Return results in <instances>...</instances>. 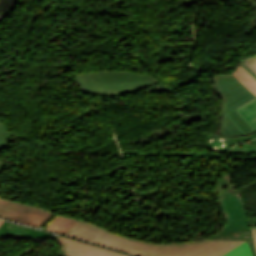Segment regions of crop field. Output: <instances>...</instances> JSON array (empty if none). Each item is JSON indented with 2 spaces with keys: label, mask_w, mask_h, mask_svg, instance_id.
Segmentation results:
<instances>
[{
  "label": "crop field",
  "mask_w": 256,
  "mask_h": 256,
  "mask_svg": "<svg viewBox=\"0 0 256 256\" xmlns=\"http://www.w3.org/2000/svg\"><path fill=\"white\" fill-rule=\"evenodd\" d=\"M56 239L63 245L62 250L57 253L58 256H129L62 236H56Z\"/></svg>",
  "instance_id": "crop-field-6"
},
{
  "label": "crop field",
  "mask_w": 256,
  "mask_h": 256,
  "mask_svg": "<svg viewBox=\"0 0 256 256\" xmlns=\"http://www.w3.org/2000/svg\"><path fill=\"white\" fill-rule=\"evenodd\" d=\"M66 235L139 256H222L246 242L204 239L181 244L148 243L113 234L81 220Z\"/></svg>",
  "instance_id": "crop-field-1"
},
{
  "label": "crop field",
  "mask_w": 256,
  "mask_h": 256,
  "mask_svg": "<svg viewBox=\"0 0 256 256\" xmlns=\"http://www.w3.org/2000/svg\"><path fill=\"white\" fill-rule=\"evenodd\" d=\"M253 236H254V240H255V243H256V228L253 229Z\"/></svg>",
  "instance_id": "crop-field-14"
},
{
  "label": "crop field",
  "mask_w": 256,
  "mask_h": 256,
  "mask_svg": "<svg viewBox=\"0 0 256 256\" xmlns=\"http://www.w3.org/2000/svg\"><path fill=\"white\" fill-rule=\"evenodd\" d=\"M215 93L222 97L220 116H222L219 133L227 136H241L254 133L250 126L235 110L237 106L256 97L232 74L213 76Z\"/></svg>",
  "instance_id": "crop-field-4"
},
{
  "label": "crop field",
  "mask_w": 256,
  "mask_h": 256,
  "mask_svg": "<svg viewBox=\"0 0 256 256\" xmlns=\"http://www.w3.org/2000/svg\"><path fill=\"white\" fill-rule=\"evenodd\" d=\"M243 119L256 132V98L237 109Z\"/></svg>",
  "instance_id": "crop-field-9"
},
{
  "label": "crop field",
  "mask_w": 256,
  "mask_h": 256,
  "mask_svg": "<svg viewBox=\"0 0 256 256\" xmlns=\"http://www.w3.org/2000/svg\"><path fill=\"white\" fill-rule=\"evenodd\" d=\"M224 256H252L247 243L235 248Z\"/></svg>",
  "instance_id": "crop-field-12"
},
{
  "label": "crop field",
  "mask_w": 256,
  "mask_h": 256,
  "mask_svg": "<svg viewBox=\"0 0 256 256\" xmlns=\"http://www.w3.org/2000/svg\"><path fill=\"white\" fill-rule=\"evenodd\" d=\"M1 236L47 238L52 234L4 221L0 227Z\"/></svg>",
  "instance_id": "crop-field-7"
},
{
  "label": "crop field",
  "mask_w": 256,
  "mask_h": 256,
  "mask_svg": "<svg viewBox=\"0 0 256 256\" xmlns=\"http://www.w3.org/2000/svg\"><path fill=\"white\" fill-rule=\"evenodd\" d=\"M213 190L224 223L210 238L247 240L253 256H256L243 195L230 172L214 181Z\"/></svg>",
  "instance_id": "crop-field-2"
},
{
  "label": "crop field",
  "mask_w": 256,
  "mask_h": 256,
  "mask_svg": "<svg viewBox=\"0 0 256 256\" xmlns=\"http://www.w3.org/2000/svg\"><path fill=\"white\" fill-rule=\"evenodd\" d=\"M56 213L0 198V217L41 228Z\"/></svg>",
  "instance_id": "crop-field-5"
},
{
  "label": "crop field",
  "mask_w": 256,
  "mask_h": 256,
  "mask_svg": "<svg viewBox=\"0 0 256 256\" xmlns=\"http://www.w3.org/2000/svg\"><path fill=\"white\" fill-rule=\"evenodd\" d=\"M3 220H0V225L2 224Z\"/></svg>",
  "instance_id": "crop-field-15"
},
{
  "label": "crop field",
  "mask_w": 256,
  "mask_h": 256,
  "mask_svg": "<svg viewBox=\"0 0 256 256\" xmlns=\"http://www.w3.org/2000/svg\"><path fill=\"white\" fill-rule=\"evenodd\" d=\"M233 75L256 95V79L245 69L239 65Z\"/></svg>",
  "instance_id": "crop-field-10"
},
{
  "label": "crop field",
  "mask_w": 256,
  "mask_h": 256,
  "mask_svg": "<svg viewBox=\"0 0 256 256\" xmlns=\"http://www.w3.org/2000/svg\"><path fill=\"white\" fill-rule=\"evenodd\" d=\"M74 77L81 91L100 96L128 95L160 82L152 75L120 71H97Z\"/></svg>",
  "instance_id": "crop-field-3"
},
{
  "label": "crop field",
  "mask_w": 256,
  "mask_h": 256,
  "mask_svg": "<svg viewBox=\"0 0 256 256\" xmlns=\"http://www.w3.org/2000/svg\"><path fill=\"white\" fill-rule=\"evenodd\" d=\"M242 62L256 74V55Z\"/></svg>",
  "instance_id": "crop-field-13"
},
{
  "label": "crop field",
  "mask_w": 256,
  "mask_h": 256,
  "mask_svg": "<svg viewBox=\"0 0 256 256\" xmlns=\"http://www.w3.org/2000/svg\"><path fill=\"white\" fill-rule=\"evenodd\" d=\"M77 221L78 219L59 215L42 229L65 235Z\"/></svg>",
  "instance_id": "crop-field-8"
},
{
  "label": "crop field",
  "mask_w": 256,
  "mask_h": 256,
  "mask_svg": "<svg viewBox=\"0 0 256 256\" xmlns=\"http://www.w3.org/2000/svg\"><path fill=\"white\" fill-rule=\"evenodd\" d=\"M13 140L10 130L0 121V150L9 147L8 142ZM7 163L0 160V174Z\"/></svg>",
  "instance_id": "crop-field-11"
}]
</instances>
